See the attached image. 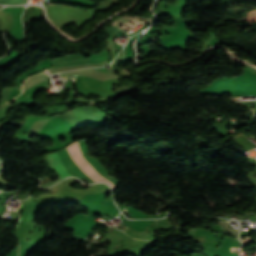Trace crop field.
<instances>
[{
  "mask_svg": "<svg viewBox=\"0 0 256 256\" xmlns=\"http://www.w3.org/2000/svg\"><path fill=\"white\" fill-rule=\"evenodd\" d=\"M123 210L126 211L125 208H123Z\"/></svg>",
  "mask_w": 256,
  "mask_h": 256,
  "instance_id": "3",
  "label": "crop field"
},
{
  "mask_svg": "<svg viewBox=\"0 0 256 256\" xmlns=\"http://www.w3.org/2000/svg\"><path fill=\"white\" fill-rule=\"evenodd\" d=\"M44 72H46V73L50 74V73H49V71H48L47 69H46V70H44Z\"/></svg>",
  "mask_w": 256,
  "mask_h": 256,
  "instance_id": "2",
  "label": "crop field"
},
{
  "mask_svg": "<svg viewBox=\"0 0 256 256\" xmlns=\"http://www.w3.org/2000/svg\"><path fill=\"white\" fill-rule=\"evenodd\" d=\"M79 146V145H78ZM80 149V148H79ZM81 151V150H80ZM82 153V152H81ZM84 156V155H83ZM46 162H47V167L49 169H56L57 173H58V181L56 182H48L46 184H41L40 187H47V186H51L59 181H61L62 179L70 176L68 174V172L66 171V169L63 167L60 158L57 154V152L52 153L50 155H47L46 157Z\"/></svg>",
  "mask_w": 256,
  "mask_h": 256,
  "instance_id": "1",
  "label": "crop field"
}]
</instances>
